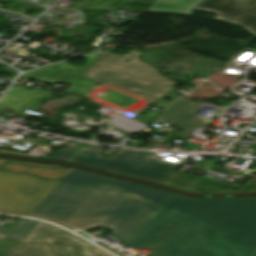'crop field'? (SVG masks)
Wrapping results in <instances>:
<instances>
[{
	"instance_id": "obj_1",
	"label": "crop field",
	"mask_w": 256,
	"mask_h": 256,
	"mask_svg": "<svg viewBox=\"0 0 256 256\" xmlns=\"http://www.w3.org/2000/svg\"><path fill=\"white\" fill-rule=\"evenodd\" d=\"M29 216L71 230L105 227L148 256L256 252V197L196 199L72 169Z\"/></svg>"
},
{
	"instance_id": "obj_2",
	"label": "crop field",
	"mask_w": 256,
	"mask_h": 256,
	"mask_svg": "<svg viewBox=\"0 0 256 256\" xmlns=\"http://www.w3.org/2000/svg\"><path fill=\"white\" fill-rule=\"evenodd\" d=\"M138 55L137 52L123 56L103 53L66 93L83 97L99 81L157 100L176 82L169 81L156 69L139 61ZM122 59L132 62H121Z\"/></svg>"
},
{
	"instance_id": "obj_3",
	"label": "crop field",
	"mask_w": 256,
	"mask_h": 256,
	"mask_svg": "<svg viewBox=\"0 0 256 256\" xmlns=\"http://www.w3.org/2000/svg\"><path fill=\"white\" fill-rule=\"evenodd\" d=\"M70 170L51 164L1 160L0 212L30 214Z\"/></svg>"
},
{
	"instance_id": "obj_4",
	"label": "crop field",
	"mask_w": 256,
	"mask_h": 256,
	"mask_svg": "<svg viewBox=\"0 0 256 256\" xmlns=\"http://www.w3.org/2000/svg\"><path fill=\"white\" fill-rule=\"evenodd\" d=\"M92 167L162 183L179 166L153 160L146 152L121 149L111 158L100 156Z\"/></svg>"
},
{
	"instance_id": "obj_5",
	"label": "crop field",
	"mask_w": 256,
	"mask_h": 256,
	"mask_svg": "<svg viewBox=\"0 0 256 256\" xmlns=\"http://www.w3.org/2000/svg\"><path fill=\"white\" fill-rule=\"evenodd\" d=\"M75 237L61 228L39 222L22 242L47 241L53 256H112Z\"/></svg>"
},
{
	"instance_id": "obj_6",
	"label": "crop field",
	"mask_w": 256,
	"mask_h": 256,
	"mask_svg": "<svg viewBox=\"0 0 256 256\" xmlns=\"http://www.w3.org/2000/svg\"><path fill=\"white\" fill-rule=\"evenodd\" d=\"M193 8L217 12L215 18L243 26L256 34V0H202Z\"/></svg>"
},
{
	"instance_id": "obj_7",
	"label": "crop field",
	"mask_w": 256,
	"mask_h": 256,
	"mask_svg": "<svg viewBox=\"0 0 256 256\" xmlns=\"http://www.w3.org/2000/svg\"><path fill=\"white\" fill-rule=\"evenodd\" d=\"M156 120L169 122L180 128L183 130L180 136L187 139L195 127V102L182 98L157 117Z\"/></svg>"
},
{
	"instance_id": "obj_8",
	"label": "crop field",
	"mask_w": 256,
	"mask_h": 256,
	"mask_svg": "<svg viewBox=\"0 0 256 256\" xmlns=\"http://www.w3.org/2000/svg\"><path fill=\"white\" fill-rule=\"evenodd\" d=\"M0 256H52L47 242L21 243L11 238L0 240Z\"/></svg>"
},
{
	"instance_id": "obj_9",
	"label": "crop field",
	"mask_w": 256,
	"mask_h": 256,
	"mask_svg": "<svg viewBox=\"0 0 256 256\" xmlns=\"http://www.w3.org/2000/svg\"><path fill=\"white\" fill-rule=\"evenodd\" d=\"M43 90L27 91L17 87H12L5 97L0 101V107L6 106L17 110L23 107L36 106L44 98L40 95Z\"/></svg>"
},
{
	"instance_id": "obj_10",
	"label": "crop field",
	"mask_w": 256,
	"mask_h": 256,
	"mask_svg": "<svg viewBox=\"0 0 256 256\" xmlns=\"http://www.w3.org/2000/svg\"><path fill=\"white\" fill-rule=\"evenodd\" d=\"M78 76V74L69 73L53 65L23 74L25 78H35L42 82L67 84H71Z\"/></svg>"
},
{
	"instance_id": "obj_11",
	"label": "crop field",
	"mask_w": 256,
	"mask_h": 256,
	"mask_svg": "<svg viewBox=\"0 0 256 256\" xmlns=\"http://www.w3.org/2000/svg\"><path fill=\"white\" fill-rule=\"evenodd\" d=\"M199 0H156L147 10L189 14V8Z\"/></svg>"
},
{
	"instance_id": "obj_12",
	"label": "crop field",
	"mask_w": 256,
	"mask_h": 256,
	"mask_svg": "<svg viewBox=\"0 0 256 256\" xmlns=\"http://www.w3.org/2000/svg\"><path fill=\"white\" fill-rule=\"evenodd\" d=\"M105 149L104 147H80L69 161L91 166Z\"/></svg>"
},
{
	"instance_id": "obj_13",
	"label": "crop field",
	"mask_w": 256,
	"mask_h": 256,
	"mask_svg": "<svg viewBox=\"0 0 256 256\" xmlns=\"http://www.w3.org/2000/svg\"><path fill=\"white\" fill-rule=\"evenodd\" d=\"M37 223L38 221L30 219H27L26 221L20 220L11 229L0 227V233L21 241Z\"/></svg>"
},
{
	"instance_id": "obj_14",
	"label": "crop field",
	"mask_w": 256,
	"mask_h": 256,
	"mask_svg": "<svg viewBox=\"0 0 256 256\" xmlns=\"http://www.w3.org/2000/svg\"><path fill=\"white\" fill-rule=\"evenodd\" d=\"M99 54H93V55H87V56H83V58L86 59L87 63L84 64L83 66H76V65H71L65 62L59 63V64H55L57 66H60L62 68L68 69L70 71L76 72V73H80L82 74L92 63L93 61L100 55Z\"/></svg>"
},
{
	"instance_id": "obj_15",
	"label": "crop field",
	"mask_w": 256,
	"mask_h": 256,
	"mask_svg": "<svg viewBox=\"0 0 256 256\" xmlns=\"http://www.w3.org/2000/svg\"><path fill=\"white\" fill-rule=\"evenodd\" d=\"M79 147L74 143L67 142L61 150L53 152L49 158L68 160Z\"/></svg>"
},
{
	"instance_id": "obj_16",
	"label": "crop field",
	"mask_w": 256,
	"mask_h": 256,
	"mask_svg": "<svg viewBox=\"0 0 256 256\" xmlns=\"http://www.w3.org/2000/svg\"><path fill=\"white\" fill-rule=\"evenodd\" d=\"M96 244H98L99 246H101V247H103V248H105V249H107V250H109V251H111V252H113V253H115V254H117V255H119V256H123V255H121L120 253L114 251L113 249H111V248H109V247H107V246H105V245H103V244H101V243H99V242L96 243Z\"/></svg>"
},
{
	"instance_id": "obj_17",
	"label": "crop field",
	"mask_w": 256,
	"mask_h": 256,
	"mask_svg": "<svg viewBox=\"0 0 256 256\" xmlns=\"http://www.w3.org/2000/svg\"><path fill=\"white\" fill-rule=\"evenodd\" d=\"M79 232H81V231H77L76 233H79ZM80 235V234H79ZM81 236H83V237H85V238H87V239H91V237H89V236H87V235H85V234H82Z\"/></svg>"
},
{
	"instance_id": "obj_18",
	"label": "crop field",
	"mask_w": 256,
	"mask_h": 256,
	"mask_svg": "<svg viewBox=\"0 0 256 256\" xmlns=\"http://www.w3.org/2000/svg\"><path fill=\"white\" fill-rule=\"evenodd\" d=\"M3 237H5V236H3V235L0 234V239L3 238Z\"/></svg>"
},
{
	"instance_id": "obj_19",
	"label": "crop field",
	"mask_w": 256,
	"mask_h": 256,
	"mask_svg": "<svg viewBox=\"0 0 256 256\" xmlns=\"http://www.w3.org/2000/svg\"><path fill=\"white\" fill-rule=\"evenodd\" d=\"M0 160H1V158H0Z\"/></svg>"
}]
</instances>
